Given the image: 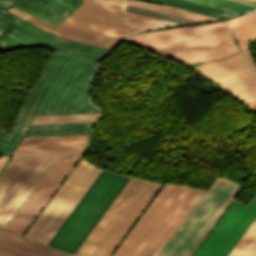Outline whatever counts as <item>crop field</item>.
Returning <instances> with one entry per match:
<instances>
[{
    "label": "crop field",
    "mask_w": 256,
    "mask_h": 256,
    "mask_svg": "<svg viewBox=\"0 0 256 256\" xmlns=\"http://www.w3.org/2000/svg\"><path fill=\"white\" fill-rule=\"evenodd\" d=\"M17 1L0 0V51L29 47L57 51L29 90L10 132L0 130V153L7 155L23 137L89 134L93 122L29 125L34 115L98 112L87 91L94 65L111 51L62 39L6 11Z\"/></svg>",
    "instance_id": "obj_1"
},
{
    "label": "crop field",
    "mask_w": 256,
    "mask_h": 256,
    "mask_svg": "<svg viewBox=\"0 0 256 256\" xmlns=\"http://www.w3.org/2000/svg\"><path fill=\"white\" fill-rule=\"evenodd\" d=\"M124 7L107 0H85L56 28L14 7L8 11L63 38L110 49L130 32L179 24L126 12Z\"/></svg>",
    "instance_id": "obj_2"
},
{
    "label": "crop field",
    "mask_w": 256,
    "mask_h": 256,
    "mask_svg": "<svg viewBox=\"0 0 256 256\" xmlns=\"http://www.w3.org/2000/svg\"><path fill=\"white\" fill-rule=\"evenodd\" d=\"M203 192L165 184L113 256H156Z\"/></svg>",
    "instance_id": "obj_3"
},
{
    "label": "crop field",
    "mask_w": 256,
    "mask_h": 256,
    "mask_svg": "<svg viewBox=\"0 0 256 256\" xmlns=\"http://www.w3.org/2000/svg\"><path fill=\"white\" fill-rule=\"evenodd\" d=\"M129 37L157 48L172 47V53L185 59L188 64L221 59L238 52L223 22L144 32L127 36L124 41ZM131 38L127 42L159 56L187 64L183 59L171 54V48L157 49Z\"/></svg>",
    "instance_id": "obj_4"
},
{
    "label": "crop field",
    "mask_w": 256,
    "mask_h": 256,
    "mask_svg": "<svg viewBox=\"0 0 256 256\" xmlns=\"http://www.w3.org/2000/svg\"><path fill=\"white\" fill-rule=\"evenodd\" d=\"M128 180L102 170L48 245L74 254Z\"/></svg>",
    "instance_id": "obj_5"
},
{
    "label": "crop field",
    "mask_w": 256,
    "mask_h": 256,
    "mask_svg": "<svg viewBox=\"0 0 256 256\" xmlns=\"http://www.w3.org/2000/svg\"><path fill=\"white\" fill-rule=\"evenodd\" d=\"M239 189V186L217 178L158 256H190Z\"/></svg>",
    "instance_id": "obj_6"
},
{
    "label": "crop field",
    "mask_w": 256,
    "mask_h": 256,
    "mask_svg": "<svg viewBox=\"0 0 256 256\" xmlns=\"http://www.w3.org/2000/svg\"><path fill=\"white\" fill-rule=\"evenodd\" d=\"M57 155L14 156L0 175V227L4 228Z\"/></svg>",
    "instance_id": "obj_7"
},
{
    "label": "crop field",
    "mask_w": 256,
    "mask_h": 256,
    "mask_svg": "<svg viewBox=\"0 0 256 256\" xmlns=\"http://www.w3.org/2000/svg\"><path fill=\"white\" fill-rule=\"evenodd\" d=\"M100 171L80 160L25 236L47 244Z\"/></svg>",
    "instance_id": "obj_8"
},
{
    "label": "crop field",
    "mask_w": 256,
    "mask_h": 256,
    "mask_svg": "<svg viewBox=\"0 0 256 256\" xmlns=\"http://www.w3.org/2000/svg\"><path fill=\"white\" fill-rule=\"evenodd\" d=\"M192 70L237 97L256 88V67L246 51L225 60L204 63Z\"/></svg>",
    "instance_id": "obj_9"
},
{
    "label": "crop field",
    "mask_w": 256,
    "mask_h": 256,
    "mask_svg": "<svg viewBox=\"0 0 256 256\" xmlns=\"http://www.w3.org/2000/svg\"><path fill=\"white\" fill-rule=\"evenodd\" d=\"M245 207L233 202L194 256H226L256 217V196Z\"/></svg>",
    "instance_id": "obj_10"
},
{
    "label": "crop field",
    "mask_w": 256,
    "mask_h": 256,
    "mask_svg": "<svg viewBox=\"0 0 256 256\" xmlns=\"http://www.w3.org/2000/svg\"><path fill=\"white\" fill-rule=\"evenodd\" d=\"M142 183V180L131 178L74 256H88L91 253Z\"/></svg>",
    "instance_id": "obj_11"
},
{
    "label": "crop field",
    "mask_w": 256,
    "mask_h": 256,
    "mask_svg": "<svg viewBox=\"0 0 256 256\" xmlns=\"http://www.w3.org/2000/svg\"><path fill=\"white\" fill-rule=\"evenodd\" d=\"M89 135L24 138L12 154L84 151Z\"/></svg>",
    "instance_id": "obj_12"
},
{
    "label": "crop field",
    "mask_w": 256,
    "mask_h": 256,
    "mask_svg": "<svg viewBox=\"0 0 256 256\" xmlns=\"http://www.w3.org/2000/svg\"><path fill=\"white\" fill-rule=\"evenodd\" d=\"M254 14H256V12H252L236 18L228 19L226 21L239 49L241 50L247 49L250 43L256 41V36H255L256 35V15ZM251 15H254V16H251ZM248 16H251V17H248ZM244 17H248V18H244ZM241 18H244V19H241ZM238 19H241V20H238ZM235 20H238V21H235ZM233 21H235V24L243 39L251 36H255V37L242 40Z\"/></svg>",
    "instance_id": "obj_13"
},
{
    "label": "crop field",
    "mask_w": 256,
    "mask_h": 256,
    "mask_svg": "<svg viewBox=\"0 0 256 256\" xmlns=\"http://www.w3.org/2000/svg\"><path fill=\"white\" fill-rule=\"evenodd\" d=\"M145 1L160 3V4H164V5H168V6L188 10V11H194V12L206 14L209 16L217 17V18L234 14V13H230V12H226V11H222L214 8H209V7H205V6H201V5H197V4H193L185 1H180V0H145Z\"/></svg>",
    "instance_id": "obj_14"
},
{
    "label": "crop field",
    "mask_w": 256,
    "mask_h": 256,
    "mask_svg": "<svg viewBox=\"0 0 256 256\" xmlns=\"http://www.w3.org/2000/svg\"><path fill=\"white\" fill-rule=\"evenodd\" d=\"M256 249V218L228 256H250Z\"/></svg>",
    "instance_id": "obj_15"
},
{
    "label": "crop field",
    "mask_w": 256,
    "mask_h": 256,
    "mask_svg": "<svg viewBox=\"0 0 256 256\" xmlns=\"http://www.w3.org/2000/svg\"><path fill=\"white\" fill-rule=\"evenodd\" d=\"M111 1H116V2H120V3H124V4L133 5V6H138V7H142V8H146V9L160 11V12L173 14V15H177V16H182V17H186V18H190V19L199 20V21L213 19L212 17L200 15L197 13L187 12V11L170 8V7H165V6L152 4V3H145V2H138V1H131V0H111Z\"/></svg>",
    "instance_id": "obj_16"
},
{
    "label": "crop field",
    "mask_w": 256,
    "mask_h": 256,
    "mask_svg": "<svg viewBox=\"0 0 256 256\" xmlns=\"http://www.w3.org/2000/svg\"><path fill=\"white\" fill-rule=\"evenodd\" d=\"M98 113L35 116L31 124L95 121Z\"/></svg>",
    "instance_id": "obj_17"
},
{
    "label": "crop field",
    "mask_w": 256,
    "mask_h": 256,
    "mask_svg": "<svg viewBox=\"0 0 256 256\" xmlns=\"http://www.w3.org/2000/svg\"><path fill=\"white\" fill-rule=\"evenodd\" d=\"M185 1L193 2V3L205 5V6H210V7H214V8L234 12V13H242L244 11H241V10L245 8L252 9V10L254 9L253 7L241 5V4L230 2L227 0H185Z\"/></svg>",
    "instance_id": "obj_18"
},
{
    "label": "crop field",
    "mask_w": 256,
    "mask_h": 256,
    "mask_svg": "<svg viewBox=\"0 0 256 256\" xmlns=\"http://www.w3.org/2000/svg\"><path fill=\"white\" fill-rule=\"evenodd\" d=\"M17 5L55 23V24H59L62 20H64L65 18L29 1V0H21L20 2L17 3ZM63 22V21H62Z\"/></svg>",
    "instance_id": "obj_19"
},
{
    "label": "crop field",
    "mask_w": 256,
    "mask_h": 256,
    "mask_svg": "<svg viewBox=\"0 0 256 256\" xmlns=\"http://www.w3.org/2000/svg\"><path fill=\"white\" fill-rule=\"evenodd\" d=\"M125 10L130 11V12L139 13V14L148 15V16H153V17H157V18H161V19H166V20H170V21H175V22H179V23L195 22V20H190V19H186V18H182V17L168 15V14L155 12V11H151V10H146V9L133 7V6H129V5L126 6Z\"/></svg>",
    "instance_id": "obj_20"
},
{
    "label": "crop field",
    "mask_w": 256,
    "mask_h": 256,
    "mask_svg": "<svg viewBox=\"0 0 256 256\" xmlns=\"http://www.w3.org/2000/svg\"><path fill=\"white\" fill-rule=\"evenodd\" d=\"M32 1L48 8L64 17H67L71 13V11H69V10L49 1V0H32Z\"/></svg>",
    "instance_id": "obj_21"
},
{
    "label": "crop field",
    "mask_w": 256,
    "mask_h": 256,
    "mask_svg": "<svg viewBox=\"0 0 256 256\" xmlns=\"http://www.w3.org/2000/svg\"><path fill=\"white\" fill-rule=\"evenodd\" d=\"M239 98L248 105L252 112L256 111V89Z\"/></svg>",
    "instance_id": "obj_22"
},
{
    "label": "crop field",
    "mask_w": 256,
    "mask_h": 256,
    "mask_svg": "<svg viewBox=\"0 0 256 256\" xmlns=\"http://www.w3.org/2000/svg\"><path fill=\"white\" fill-rule=\"evenodd\" d=\"M0 256H26L8 248L0 246Z\"/></svg>",
    "instance_id": "obj_23"
},
{
    "label": "crop field",
    "mask_w": 256,
    "mask_h": 256,
    "mask_svg": "<svg viewBox=\"0 0 256 256\" xmlns=\"http://www.w3.org/2000/svg\"><path fill=\"white\" fill-rule=\"evenodd\" d=\"M230 1L238 2L241 4L253 6V7H255L256 5V0H230Z\"/></svg>",
    "instance_id": "obj_24"
},
{
    "label": "crop field",
    "mask_w": 256,
    "mask_h": 256,
    "mask_svg": "<svg viewBox=\"0 0 256 256\" xmlns=\"http://www.w3.org/2000/svg\"><path fill=\"white\" fill-rule=\"evenodd\" d=\"M61 1L73 6L75 8L78 7L83 2V0H61Z\"/></svg>",
    "instance_id": "obj_25"
},
{
    "label": "crop field",
    "mask_w": 256,
    "mask_h": 256,
    "mask_svg": "<svg viewBox=\"0 0 256 256\" xmlns=\"http://www.w3.org/2000/svg\"><path fill=\"white\" fill-rule=\"evenodd\" d=\"M7 157H8V156H5V155L2 156V158H1V160H0V169H1V167L3 166V164L5 163Z\"/></svg>",
    "instance_id": "obj_26"
}]
</instances>
